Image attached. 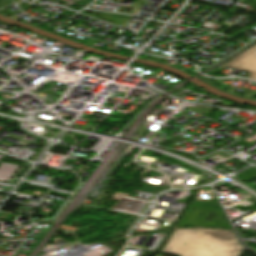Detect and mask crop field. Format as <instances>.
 Segmentation results:
<instances>
[{
  "instance_id": "crop-field-3",
  "label": "crop field",
  "mask_w": 256,
  "mask_h": 256,
  "mask_svg": "<svg viewBox=\"0 0 256 256\" xmlns=\"http://www.w3.org/2000/svg\"><path fill=\"white\" fill-rule=\"evenodd\" d=\"M224 67L251 73L247 78L256 80V45Z\"/></svg>"
},
{
  "instance_id": "crop-field-1",
  "label": "crop field",
  "mask_w": 256,
  "mask_h": 256,
  "mask_svg": "<svg viewBox=\"0 0 256 256\" xmlns=\"http://www.w3.org/2000/svg\"><path fill=\"white\" fill-rule=\"evenodd\" d=\"M234 233L207 229L174 230L162 252L180 256H239Z\"/></svg>"
},
{
  "instance_id": "crop-field-5",
  "label": "crop field",
  "mask_w": 256,
  "mask_h": 256,
  "mask_svg": "<svg viewBox=\"0 0 256 256\" xmlns=\"http://www.w3.org/2000/svg\"><path fill=\"white\" fill-rule=\"evenodd\" d=\"M11 1L10 0H3L0 2V7L3 6V5H6V4H10Z\"/></svg>"
},
{
  "instance_id": "crop-field-2",
  "label": "crop field",
  "mask_w": 256,
  "mask_h": 256,
  "mask_svg": "<svg viewBox=\"0 0 256 256\" xmlns=\"http://www.w3.org/2000/svg\"><path fill=\"white\" fill-rule=\"evenodd\" d=\"M216 226L231 228L222 210L205 208L190 204L185 216L177 227Z\"/></svg>"
},
{
  "instance_id": "crop-field-4",
  "label": "crop field",
  "mask_w": 256,
  "mask_h": 256,
  "mask_svg": "<svg viewBox=\"0 0 256 256\" xmlns=\"http://www.w3.org/2000/svg\"><path fill=\"white\" fill-rule=\"evenodd\" d=\"M237 177L240 179V181L245 182L251 178H256V168L252 167L239 175Z\"/></svg>"
}]
</instances>
